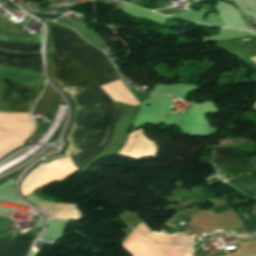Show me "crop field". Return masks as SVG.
Instances as JSON below:
<instances>
[{"mask_svg":"<svg viewBox=\"0 0 256 256\" xmlns=\"http://www.w3.org/2000/svg\"><path fill=\"white\" fill-rule=\"evenodd\" d=\"M133 96L142 102L154 95L138 93L129 90ZM104 92L101 88H94L71 95L77 107V117L74 126L68 136L71 147L68 148L70 154L84 146L89 131L102 106ZM124 106L114 105V102L106 94L103 106L90 131L84 147L71 155L73 163L79 168L85 167L94 159L108 143L112 130L123 110Z\"/></svg>","mask_w":256,"mask_h":256,"instance_id":"crop-field-1","label":"crop field"},{"mask_svg":"<svg viewBox=\"0 0 256 256\" xmlns=\"http://www.w3.org/2000/svg\"><path fill=\"white\" fill-rule=\"evenodd\" d=\"M0 48L5 50L16 51H39L40 44H15L8 42H0Z\"/></svg>","mask_w":256,"mask_h":256,"instance_id":"crop-field-7","label":"crop field"},{"mask_svg":"<svg viewBox=\"0 0 256 256\" xmlns=\"http://www.w3.org/2000/svg\"><path fill=\"white\" fill-rule=\"evenodd\" d=\"M0 64L42 72L41 54L0 51ZM0 65V80L8 81L4 96L11 112H29L42 89V73Z\"/></svg>","mask_w":256,"mask_h":256,"instance_id":"crop-field-3","label":"crop field"},{"mask_svg":"<svg viewBox=\"0 0 256 256\" xmlns=\"http://www.w3.org/2000/svg\"><path fill=\"white\" fill-rule=\"evenodd\" d=\"M35 237L36 235L14 237L0 244V256H26Z\"/></svg>","mask_w":256,"mask_h":256,"instance_id":"crop-field-5","label":"crop field"},{"mask_svg":"<svg viewBox=\"0 0 256 256\" xmlns=\"http://www.w3.org/2000/svg\"><path fill=\"white\" fill-rule=\"evenodd\" d=\"M34 205L46 212L49 218L77 219L81 217L77 204L43 203Z\"/></svg>","mask_w":256,"mask_h":256,"instance_id":"crop-field-4","label":"crop field"},{"mask_svg":"<svg viewBox=\"0 0 256 256\" xmlns=\"http://www.w3.org/2000/svg\"><path fill=\"white\" fill-rule=\"evenodd\" d=\"M250 161H251V163H252L253 168L256 169V156L253 157V158H250ZM255 169H254V170H255Z\"/></svg>","mask_w":256,"mask_h":256,"instance_id":"crop-field-8","label":"crop field"},{"mask_svg":"<svg viewBox=\"0 0 256 256\" xmlns=\"http://www.w3.org/2000/svg\"><path fill=\"white\" fill-rule=\"evenodd\" d=\"M159 11H163V12H166V13H170V12H174V8H171V9H167V10H159Z\"/></svg>","mask_w":256,"mask_h":256,"instance_id":"crop-field-9","label":"crop field"},{"mask_svg":"<svg viewBox=\"0 0 256 256\" xmlns=\"http://www.w3.org/2000/svg\"><path fill=\"white\" fill-rule=\"evenodd\" d=\"M52 52L61 64V82L75 86L115 74L106 57L67 29L51 25ZM119 80L117 74L77 86L80 91Z\"/></svg>","mask_w":256,"mask_h":256,"instance_id":"crop-field-2","label":"crop field"},{"mask_svg":"<svg viewBox=\"0 0 256 256\" xmlns=\"http://www.w3.org/2000/svg\"><path fill=\"white\" fill-rule=\"evenodd\" d=\"M212 162L219 164H230L236 166H242L247 163V158L244 153L228 150H215L212 157Z\"/></svg>","mask_w":256,"mask_h":256,"instance_id":"crop-field-6","label":"crop field"}]
</instances>
